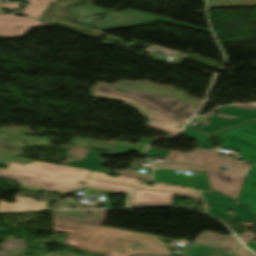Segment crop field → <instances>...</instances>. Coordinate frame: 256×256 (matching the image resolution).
<instances>
[{"instance_id":"obj_1","label":"crop field","mask_w":256,"mask_h":256,"mask_svg":"<svg viewBox=\"0 0 256 256\" xmlns=\"http://www.w3.org/2000/svg\"><path fill=\"white\" fill-rule=\"evenodd\" d=\"M53 222L54 231L69 233L64 244L73 247L107 256H129L136 253L171 255L167 246L153 235L65 220ZM135 243L145 248L132 250Z\"/></svg>"},{"instance_id":"obj_2","label":"crop field","mask_w":256,"mask_h":256,"mask_svg":"<svg viewBox=\"0 0 256 256\" xmlns=\"http://www.w3.org/2000/svg\"><path fill=\"white\" fill-rule=\"evenodd\" d=\"M0 164L9 166L6 170L0 169V177L16 180L24 189L36 193L40 190H45L66 194L82 187L113 193H128L134 189L133 187L86 179L90 174L89 171L72 167L44 162H33L23 165L1 161ZM78 182H84L85 185H80Z\"/></svg>"},{"instance_id":"obj_3","label":"crop field","mask_w":256,"mask_h":256,"mask_svg":"<svg viewBox=\"0 0 256 256\" xmlns=\"http://www.w3.org/2000/svg\"><path fill=\"white\" fill-rule=\"evenodd\" d=\"M183 134L200 141L198 148L186 154L166 150L148 149L145 154L166 157L163 163H186L204 166L212 189L238 199L242 184L250 164L230 158L218 157L217 152L210 150V139L185 126ZM204 158L207 159L204 161ZM230 165L227 171L218 167Z\"/></svg>"},{"instance_id":"obj_4","label":"crop field","mask_w":256,"mask_h":256,"mask_svg":"<svg viewBox=\"0 0 256 256\" xmlns=\"http://www.w3.org/2000/svg\"><path fill=\"white\" fill-rule=\"evenodd\" d=\"M106 15L108 16L106 21H100L99 19L87 20V21L79 20V23L82 25L96 27L102 30H107V29L127 27V26L150 24L154 22V19H156L159 21L167 22V23H172V24H176L184 27H189L197 30L210 32V30L208 29L174 22V21H171L169 18L148 14L144 12L134 11L130 9H127L122 13L116 12V13H110Z\"/></svg>"},{"instance_id":"obj_5","label":"crop field","mask_w":256,"mask_h":256,"mask_svg":"<svg viewBox=\"0 0 256 256\" xmlns=\"http://www.w3.org/2000/svg\"><path fill=\"white\" fill-rule=\"evenodd\" d=\"M94 90H98V91H105V92H110V93H114V94H118L121 96H125L128 98H132L135 100L140 101L141 103L181 122V123H185L189 118H191L196 111L193 110L194 107L180 102L174 98L171 99H167V98H161L158 96H155L151 93L148 92H140V91H135L133 93H128V94H124V93H120V92H116L113 91L110 88H105V87H99L96 86ZM143 96H147L151 99H153V102L149 101V100H143L141 97Z\"/></svg>"},{"instance_id":"obj_6","label":"crop field","mask_w":256,"mask_h":256,"mask_svg":"<svg viewBox=\"0 0 256 256\" xmlns=\"http://www.w3.org/2000/svg\"><path fill=\"white\" fill-rule=\"evenodd\" d=\"M215 136L225 142L222 148L241 151V159L256 164V122Z\"/></svg>"},{"instance_id":"obj_7","label":"crop field","mask_w":256,"mask_h":256,"mask_svg":"<svg viewBox=\"0 0 256 256\" xmlns=\"http://www.w3.org/2000/svg\"><path fill=\"white\" fill-rule=\"evenodd\" d=\"M221 110V113L227 114V115H233L237 117L236 119H224L220 117H215L208 119L207 121L210 122V125L203 128H195L189 124H186L187 126L207 135L211 136L232 128H235L237 126L252 122L256 120V109L253 110H247V109H240L236 106H229V107H220L217 108Z\"/></svg>"},{"instance_id":"obj_8","label":"crop field","mask_w":256,"mask_h":256,"mask_svg":"<svg viewBox=\"0 0 256 256\" xmlns=\"http://www.w3.org/2000/svg\"><path fill=\"white\" fill-rule=\"evenodd\" d=\"M91 96L102 98V99H107V100L115 99V100L123 101L126 103L130 102V103H127V105H129V106L137 109L141 113H143L144 117L157 121L156 123L149 122L148 123L149 126H152L154 128L160 129L165 132H168L172 135H175L181 131L179 129L174 128L175 126H177L181 123L174 121V120L152 110L151 108H149L135 100L128 99V98L121 97V96L114 95V94L111 95V94L105 93V92H98V91H93Z\"/></svg>"},{"instance_id":"obj_9","label":"crop field","mask_w":256,"mask_h":256,"mask_svg":"<svg viewBox=\"0 0 256 256\" xmlns=\"http://www.w3.org/2000/svg\"><path fill=\"white\" fill-rule=\"evenodd\" d=\"M173 195H179L184 198L200 199L198 194L156 192V191L139 188L137 191L131 194L129 205L130 206L172 205L171 199Z\"/></svg>"},{"instance_id":"obj_10","label":"crop field","mask_w":256,"mask_h":256,"mask_svg":"<svg viewBox=\"0 0 256 256\" xmlns=\"http://www.w3.org/2000/svg\"><path fill=\"white\" fill-rule=\"evenodd\" d=\"M49 24L25 17L0 15V35L16 37L23 35L31 27L48 26Z\"/></svg>"},{"instance_id":"obj_11","label":"crop field","mask_w":256,"mask_h":256,"mask_svg":"<svg viewBox=\"0 0 256 256\" xmlns=\"http://www.w3.org/2000/svg\"><path fill=\"white\" fill-rule=\"evenodd\" d=\"M207 203V213L217 217L222 221L233 218L232 215L226 213L227 210H233L236 200L226 197L220 193L201 194ZM213 206V208H209Z\"/></svg>"},{"instance_id":"obj_12","label":"crop field","mask_w":256,"mask_h":256,"mask_svg":"<svg viewBox=\"0 0 256 256\" xmlns=\"http://www.w3.org/2000/svg\"><path fill=\"white\" fill-rule=\"evenodd\" d=\"M239 202L248 204L256 213V167L251 166L241 189Z\"/></svg>"},{"instance_id":"obj_13","label":"crop field","mask_w":256,"mask_h":256,"mask_svg":"<svg viewBox=\"0 0 256 256\" xmlns=\"http://www.w3.org/2000/svg\"><path fill=\"white\" fill-rule=\"evenodd\" d=\"M196 243L224 247L229 249L242 246V244L233 235L221 236L210 231L199 235L196 238Z\"/></svg>"},{"instance_id":"obj_14","label":"crop field","mask_w":256,"mask_h":256,"mask_svg":"<svg viewBox=\"0 0 256 256\" xmlns=\"http://www.w3.org/2000/svg\"><path fill=\"white\" fill-rule=\"evenodd\" d=\"M9 207L10 209H7ZM46 202H38L32 198L16 197V203L0 201V212H15L25 210H45Z\"/></svg>"},{"instance_id":"obj_15","label":"crop field","mask_w":256,"mask_h":256,"mask_svg":"<svg viewBox=\"0 0 256 256\" xmlns=\"http://www.w3.org/2000/svg\"><path fill=\"white\" fill-rule=\"evenodd\" d=\"M88 152H89L88 155H86L83 161L77 160L76 162H68L65 165L84 168V169H90L97 172L112 173V171L101 168L106 161L98 159L97 156L100 153L112 154L113 152H94V151H88Z\"/></svg>"},{"instance_id":"obj_16","label":"crop field","mask_w":256,"mask_h":256,"mask_svg":"<svg viewBox=\"0 0 256 256\" xmlns=\"http://www.w3.org/2000/svg\"><path fill=\"white\" fill-rule=\"evenodd\" d=\"M56 0H28L23 14L40 18L48 6Z\"/></svg>"},{"instance_id":"obj_17","label":"crop field","mask_w":256,"mask_h":256,"mask_svg":"<svg viewBox=\"0 0 256 256\" xmlns=\"http://www.w3.org/2000/svg\"><path fill=\"white\" fill-rule=\"evenodd\" d=\"M69 10L72 13V15L74 16V18L113 12L111 10L97 8V7L88 6V5L71 7V8H69Z\"/></svg>"},{"instance_id":"obj_18","label":"crop field","mask_w":256,"mask_h":256,"mask_svg":"<svg viewBox=\"0 0 256 256\" xmlns=\"http://www.w3.org/2000/svg\"><path fill=\"white\" fill-rule=\"evenodd\" d=\"M210 7L256 5V0H208Z\"/></svg>"},{"instance_id":"obj_19","label":"crop field","mask_w":256,"mask_h":256,"mask_svg":"<svg viewBox=\"0 0 256 256\" xmlns=\"http://www.w3.org/2000/svg\"><path fill=\"white\" fill-rule=\"evenodd\" d=\"M106 175L107 174H104V173L93 172L90 177L91 178H96V179L112 181V182L128 184V185H134V186L140 185L139 182H137L138 180L136 181L134 179H128V178H122V177L114 178V177H109V176H106Z\"/></svg>"},{"instance_id":"obj_20","label":"crop field","mask_w":256,"mask_h":256,"mask_svg":"<svg viewBox=\"0 0 256 256\" xmlns=\"http://www.w3.org/2000/svg\"><path fill=\"white\" fill-rule=\"evenodd\" d=\"M146 146L118 143L113 154H126L130 150L143 153Z\"/></svg>"},{"instance_id":"obj_21","label":"crop field","mask_w":256,"mask_h":256,"mask_svg":"<svg viewBox=\"0 0 256 256\" xmlns=\"http://www.w3.org/2000/svg\"><path fill=\"white\" fill-rule=\"evenodd\" d=\"M155 168H186L205 172L203 167L186 164H155Z\"/></svg>"},{"instance_id":"obj_22","label":"crop field","mask_w":256,"mask_h":256,"mask_svg":"<svg viewBox=\"0 0 256 256\" xmlns=\"http://www.w3.org/2000/svg\"><path fill=\"white\" fill-rule=\"evenodd\" d=\"M143 188H149V189H154V190H168V191H180V192H192V193H197L194 190H190V189H183V188H176V187H170V186H165V185H161V184H157L155 183V185L153 187H149V186H141Z\"/></svg>"},{"instance_id":"obj_23","label":"crop field","mask_w":256,"mask_h":256,"mask_svg":"<svg viewBox=\"0 0 256 256\" xmlns=\"http://www.w3.org/2000/svg\"><path fill=\"white\" fill-rule=\"evenodd\" d=\"M114 173H118L122 177H128V178H134V179H142V180H146V181H148L150 179V177H151L149 175H143V174L135 173V170L120 171V172L114 171Z\"/></svg>"},{"instance_id":"obj_24","label":"crop field","mask_w":256,"mask_h":256,"mask_svg":"<svg viewBox=\"0 0 256 256\" xmlns=\"http://www.w3.org/2000/svg\"><path fill=\"white\" fill-rule=\"evenodd\" d=\"M232 251L236 256H256V255L252 254L251 252H249L245 248L235 249Z\"/></svg>"},{"instance_id":"obj_25","label":"crop field","mask_w":256,"mask_h":256,"mask_svg":"<svg viewBox=\"0 0 256 256\" xmlns=\"http://www.w3.org/2000/svg\"><path fill=\"white\" fill-rule=\"evenodd\" d=\"M253 235L250 232L242 234L239 238L246 244Z\"/></svg>"},{"instance_id":"obj_26","label":"crop field","mask_w":256,"mask_h":256,"mask_svg":"<svg viewBox=\"0 0 256 256\" xmlns=\"http://www.w3.org/2000/svg\"><path fill=\"white\" fill-rule=\"evenodd\" d=\"M5 8H18V4L5 3L2 5Z\"/></svg>"},{"instance_id":"obj_27","label":"crop field","mask_w":256,"mask_h":256,"mask_svg":"<svg viewBox=\"0 0 256 256\" xmlns=\"http://www.w3.org/2000/svg\"><path fill=\"white\" fill-rule=\"evenodd\" d=\"M151 140L150 139H142L139 142H143V143H149Z\"/></svg>"},{"instance_id":"obj_28","label":"crop field","mask_w":256,"mask_h":256,"mask_svg":"<svg viewBox=\"0 0 256 256\" xmlns=\"http://www.w3.org/2000/svg\"><path fill=\"white\" fill-rule=\"evenodd\" d=\"M3 230H0V233L2 232Z\"/></svg>"}]
</instances>
